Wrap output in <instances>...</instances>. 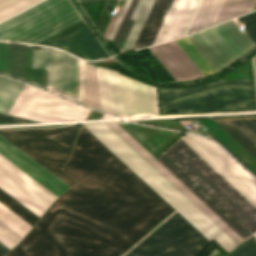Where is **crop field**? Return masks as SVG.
I'll list each match as a JSON object with an SVG mask.
<instances>
[{
    "label": "crop field",
    "mask_w": 256,
    "mask_h": 256,
    "mask_svg": "<svg viewBox=\"0 0 256 256\" xmlns=\"http://www.w3.org/2000/svg\"><path fill=\"white\" fill-rule=\"evenodd\" d=\"M157 159L244 240L256 231V207L181 139Z\"/></svg>",
    "instance_id": "ac0d7876"
},
{
    "label": "crop field",
    "mask_w": 256,
    "mask_h": 256,
    "mask_svg": "<svg viewBox=\"0 0 256 256\" xmlns=\"http://www.w3.org/2000/svg\"><path fill=\"white\" fill-rule=\"evenodd\" d=\"M84 126L210 242L214 240L227 254L236 247L237 244L234 241L105 124Z\"/></svg>",
    "instance_id": "f4fd0767"
},
{
    "label": "crop field",
    "mask_w": 256,
    "mask_h": 256,
    "mask_svg": "<svg viewBox=\"0 0 256 256\" xmlns=\"http://www.w3.org/2000/svg\"><path fill=\"white\" fill-rule=\"evenodd\" d=\"M200 0H125L120 15L112 17L107 31L104 35L108 38L113 25L114 28L109 36V40L114 41L120 48L121 52L145 47L155 43L167 41L170 39L184 36L193 13ZM154 43V44H155Z\"/></svg>",
    "instance_id": "34b2d1b8"
},
{
    "label": "crop field",
    "mask_w": 256,
    "mask_h": 256,
    "mask_svg": "<svg viewBox=\"0 0 256 256\" xmlns=\"http://www.w3.org/2000/svg\"><path fill=\"white\" fill-rule=\"evenodd\" d=\"M79 1H86V0H79Z\"/></svg>",
    "instance_id": "0bd39190"
},
{
    "label": "crop field",
    "mask_w": 256,
    "mask_h": 256,
    "mask_svg": "<svg viewBox=\"0 0 256 256\" xmlns=\"http://www.w3.org/2000/svg\"><path fill=\"white\" fill-rule=\"evenodd\" d=\"M81 103L101 111L97 78H96V70L94 66H91L88 64L86 67L84 91H83Z\"/></svg>",
    "instance_id": "00972430"
},
{
    "label": "crop field",
    "mask_w": 256,
    "mask_h": 256,
    "mask_svg": "<svg viewBox=\"0 0 256 256\" xmlns=\"http://www.w3.org/2000/svg\"><path fill=\"white\" fill-rule=\"evenodd\" d=\"M252 244H254L256 246V239L254 238V236H252L251 238L248 239Z\"/></svg>",
    "instance_id": "e1f06a70"
},
{
    "label": "crop field",
    "mask_w": 256,
    "mask_h": 256,
    "mask_svg": "<svg viewBox=\"0 0 256 256\" xmlns=\"http://www.w3.org/2000/svg\"><path fill=\"white\" fill-rule=\"evenodd\" d=\"M0 202L32 226L39 218L1 189H0Z\"/></svg>",
    "instance_id": "4177f3b9"
},
{
    "label": "crop field",
    "mask_w": 256,
    "mask_h": 256,
    "mask_svg": "<svg viewBox=\"0 0 256 256\" xmlns=\"http://www.w3.org/2000/svg\"><path fill=\"white\" fill-rule=\"evenodd\" d=\"M230 256H256V250L246 242Z\"/></svg>",
    "instance_id": "1d83c4d3"
},
{
    "label": "crop field",
    "mask_w": 256,
    "mask_h": 256,
    "mask_svg": "<svg viewBox=\"0 0 256 256\" xmlns=\"http://www.w3.org/2000/svg\"><path fill=\"white\" fill-rule=\"evenodd\" d=\"M176 42L200 69L204 76L215 73L213 68L208 64V62L203 58V56L198 52V50L193 46L187 37L176 40Z\"/></svg>",
    "instance_id": "a9b5d70f"
},
{
    "label": "crop field",
    "mask_w": 256,
    "mask_h": 256,
    "mask_svg": "<svg viewBox=\"0 0 256 256\" xmlns=\"http://www.w3.org/2000/svg\"><path fill=\"white\" fill-rule=\"evenodd\" d=\"M79 130L74 126H67L0 130V134L71 187L77 181L60 168L68 160Z\"/></svg>",
    "instance_id": "d8731c3e"
},
{
    "label": "crop field",
    "mask_w": 256,
    "mask_h": 256,
    "mask_svg": "<svg viewBox=\"0 0 256 256\" xmlns=\"http://www.w3.org/2000/svg\"><path fill=\"white\" fill-rule=\"evenodd\" d=\"M85 67L80 60V99ZM0 74L79 100V59L54 48L0 42Z\"/></svg>",
    "instance_id": "412701ff"
},
{
    "label": "crop field",
    "mask_w": 256,
    "mask_h": 256,
    "mask_svg": "<svg viewBox=\"0 0 256 256\" xmlns=\"http://www.w3.org/2000/svg\"><path fill=\"white\" fill-rule=\"evenodd\" d=\"M120 78L125 117L159 115L155 86L121 74Z\"/></svg>",
    "instance_id": "d9b57169"
},
{
    "label": "crop field",
    "mask_w": 256,
    "mask_h": 256,
    "mask_svg": "<svg viewBox=\"0 0 256 256\" xmlns=\"http://www.w3.org/2000/svg\"><path fill=\"white\" fill-rule=\"evenodd\" d=\"M21 122H33V121L0 114V123H21Z\"/></svg>",
    "instance_id": "120bbe31"
},
{
    "label": "crop field",
    "mask_w": 256,
    "mask_h": 256,
    "mask_svg": "<svg viewBox=\"0 0 256 256\" xmlns=\"http://www.w3.org/2000/svg\"><path fill=\"white\" fill-rule=\"evenodd\" d=\"M0 211L3 212L5 215H7L9 218H11L13 221H15L17 224H19L21 227H23L25 230H29L32 226H30L28 223H26L24 220H22L20 217H18L16 214H14L12 211H10L8 208H6L4 205L0 203Z\"/></svg>",
    "instance_id": "bd1437ed"
},
{
    "label": "crop field",
    "mask_w": 256,
    "mask_h": 256,
    "mask_svg": "<svg viewBox=\"0 0 256 256\" xmlns=\"http://www.w3.org/2000/svg\"><path fill=\"white\" fill-rule=\"evenodd\" d=\"M226 2L227 0H202L187 35L216 24Z\"/></svg>",
    "instance_id": "92a150f3"
},
{
    "label": "crop field",
    "mask_w": 256,
    "mask_h": 256,
    "mask_svg": "<svg viewBox=\"0 0 256 256\" xmlns=\"http://www.w3.org/2000/svg\"><path fill=\"white\" fill-rule=\"evenodd\" d=\"M188 38L216 72L256 46L232 20L188 36Z\"/></svg>",
    "instance_id": "28ad6ade"
},
{
    "label": "crop field",
    "mask_w": 256,
    "mask_h": 256,
    "mask_svg": "<svg viewBox=\"0 0 256 256\" xmlns=\"http://www.w3.org/2000/svg\"><path fill=\"white\" fill-rule=\"evenodd\" d=\"M124 129L154 157L173 142L180 133L133 124Z\"/></svg>",
    "instance_id": "bc2a9ffb"
},
{
    "label": "crop field",
    "mask_w": 256,
    "mask_h": 256,
    "mask_svg": "<svg viewBox=\"0 0 256 256\" xmlns=\"http://www.w3.org/2000/svg\"><path fill=\"white\" fill-rule=\"evenodd\" d=\"M209 243L210 242L206 238H204L195 228H193L183 217H181L176 212L134 249L132 248L135 245L131 247L128 251L131 249L132 250L127 255L125 254L128 251L125 252L122 256H197ZM219 251L220 250L216 248L208 256H214Z\"/></svg>",
    "instance_id": "3316defc"
},
{
    "label": "crop field",
    "mask_w": 256,
    "mask_h": 256,
    "mask_svg": "<svg viewBox=\"0 0 256 256\" xmlns=\"http://www.w3.org/2000/svg\"><path fill=\"white\" fill-rule=\"evenodd\" d=\"M240 21L247 29V34L256 44V11L239 17Z\"/></svg>",
    "instance_id": "750c4746"
},
{
    "label": "crop field",
    "mask_w": 256,
    "mask_h": 256,
    "mask_svg": "<svg viewBox=\"0 0 256 256\" xmlns=\"http://www.w3.org/2000/svg\"><path fill=\"white\" fill-rule=\"evenodd\" d=\"M256 147V119L227 121Z\"/></svg>",
    "instance_id": "d3111659"
},
{
    "label": "crop field",
    "mask_w": 256,
    "mask_h": 256,
    "mask_svg": "<svg viewBox=\"0 0 256 256\" xmlns=\"http://www.w3.org/2000/svg\"><path fill=\"white\" fill-rule=\"evenodd\" d=\"M50 46L64 49L86 60H97L109 57L87 26Z\"/></svg>",
    "instance_id": "4a817a6b"
},
{
    "label": "crop field",
    "mask_w": 256,
    "mask_h": 256,
    "mask_svg": "<svg viewBox=\"0 0 256 256\" xmlns=\"http://www.w3.org/2000/svg\"><path fill=\"white\" fill-rule=\"evenodd\" d=\"M162 112L182 115L255 111L251 80L210 82L188 88H160Z\"/></svg>",
    "instance_id": "dd49c442"
},
{
    "label": "crop field",
    "mask_w": 256,
    "mask_h": 256,
    "mask_svg": "<svg viewBox=\"0 0 256 256\" xmlns=\"http://www.w3.org/2000/svg\"><path fill=\"white\" fill-rule=\"evenodd\" d=\"M41 0H0V21L34 5Z\"/></svg>",
    "instance_id": "eef30255"
},
{
    "label": "crop field",
    "mask_w": 256,
    "mask_h": 256,
    "mask_svg": "<svg viewBox=\"0 0 256 256\" xmlns=\"http://www.w3.org/2000/svg\"><path fill=\"white\" fill-rule=\"evenodd\" d=\"M218 143H220L227 151H229L238 161H240L246 168H248L233 152H231L218 138L215 139ZM255 176L256 174L248 168Z\"/></svg>",
    "instance_id": "028f5c9d"
},
{
    "label": "crop field",
    "mask_w": 256,
    "mask_h": 256,
    "mask_svg": "<svg viewBox=\"0 0 256 256\" xmlns=\"http://www.w3.org/2000/svg\"><path fill=\"white\" fill-rule=\"evenodd\" d=\"M80 21L69 0H45L0 23V40L36 44Z\"/></svg>",
    "instance_id": "e52e79f7"
},
{
    "label": "crop field",
    "mask_w": 256,
    "mask_h": 256,
    "mask_svg": "<svg viewBox=\"0 0 256 256\" xmlns=\"http://www.w3.org/2000/svg\"><path fill=\"white\" fill-rule=\"evenodd\" d=\"M150 48L176 81L203 77L175 41Z\"/></svg>",
    "instance_id": "733c2abd"
},
{
    "label": "crop field",
    "mask_w": 256,
    "mask_h": 256,
    "mask_svg": "<svg viewBox=\"0 0 256 256\" xmlns=\"http://www.w3.org/2000/svg\"><path fill=\"white\" fill-rule=\"evenodd\" d=\"M14 102L9 100L0 99V112L9 114Z\"/></svg>",
    "instance_id": "d32e631a"
},
{
    "label": "crop field",
    "mask_w": 256,
    "mask_h": 256,
    "mask_svg": "<svg viewBox=\"0 0 256 256\" xmlns=\"http://www.w3.org/2000/svg\"><path fill=\"white\" fill-rule=\"evenodd\" d=\"M256 0H228L219 22L250 12ZM218 22V23H219Z\"/></svg>",
    "instance_id": "730fd06b"
},
{
    "label": "crop field",
    "mask_w": 256,
    "mask_h": 256,
    "mask_svg": "<svg viewBox=\"0 0 256 256\" xmlns=\"http://www.w3.org/2000/svg\"><path fill=\"white\" fill-rule=\"evenodd\" d=\"M0 155L57 197L70 188L1 135Z\"/></svg>",
    "instance_id": "5142ce71"
},
{
    "label": "crop field",
    "mask_w": 256,
    "mask_h": 256,
    "mask_svg": "<svg viewBox=\"0 0 256 256\" xmlns=\"http://www.w3.org/2000/svg\"><path fill=\"white\" fill-rule=\"evenodd\" d=\"M106 125L111 128L120 138H122L131 148H133L142 158H144L153 168H155L164 178H166L176 189H178L187 199H189L198 209H200L238 245L244 241L238 234H236L237 232L235 230L234 231L236 233L117 123H110Z\"/></svg>",
    "instance_id": "cbeb9de0"
},
{
    "label": "crop field",
    "mask_w": 256,
    "mask_h": 256,
    "mask_svg": "<svg viewBox=\"0 0 256 256\" xmlns=\"http://www.w3.org/2000/svg\"><path fill=\"white\" fill-rule=\"evenodd\" d=\"M181 139L256 206V181L216 143L190 134Z\"/></svg>",
    "instance_id": "d1516ede"
},
{
    "label": "crop field",
    "mask_w": 256,
    "mask_h": 256,
    "mask_svg": "<svg viewBox=\"0 0 256 256\" xmlns=\"http://www.w3.org/2000/svg\"><path fill=\"white\" fill-rule=\"evenodd\" d=\"M23 228L0 212V242L12 249L26 234ZM0 243V256L5 255L10 249Z\"/></svg>",
    "instance_id": "dafd665d"
},
{
    "label": "crop field",
    "mask_w": 256,
    "mask_h": 256,
    "mask_svg": "<svg viewBox=\"0 0 256 256\" xmlns=\"http://www.w3.org/2000/svg\"><path fill=\"white\" fill-rule=\"evenodd\" d=\"M87 131L63 167L79 182L6 256H118L173 210Z\"/></svg>",
    "instance_id": "8a807250"
},
{
    "label": "crop field",
    "mask_w": 256,
    "mask_h": 256,
    "mask_svg": "<svg viewBox=\"0 0 256 256\" xmlns=\"http://www.w3.org/2000/svg\"><path fill=\"white\" fill-rule=\"evenodd\" d=\"M24 84L0 77V98L16 101ZM89 109L25 85L10 115L43 123L84 120Z\"/></svg>",
    "instance_id": "5a996713"
},
{
    "label": "crop field",
    "mask_w": 256,
    "mask_h": 256,
    "mask_svg": "<svg viewBox=\"0 0 256 256\" xmlns=\"http://www.w3.org/2000/svg\"><path fill=\"white\" fill-rule=\"evenodd\" d=\"M251 62H252V70H253L254 85H255V92H256V55L251 58Z\"/></svg>",
    "instance_id": "5866460e"
},
{
    "label": "crop field",
    "mask_w": 256,
    "mask_h": 256,
    "mask_svg": "<svg viewBox=\"0 0 256 256\" xmlns=\"http://www.w3.org/2000/svg\"><path fill=\"white\" fill-rule=\"evenodd\" d=\"M102 107L123 113L118 72L97 67ZM124 114V113H123Z\"/></svg>",
    "instance_id": "214f88e0"
},
{
    "label": "crop field",
    "mask_w": 256,
    "mask_h": 256,
    "mask_svg": "<svg viewBox=\"0 0 256 256\" xmlns=\"http://www.w3.org/2000/svg\"><path fill=\"white\" fill-rule=\"evenodd\" d=\"M0 188L39 217L57 198L1 156Z\"/></svg>",
    "instance_id": "22f410ed"
},
{
    "label": "crop field",
    "mask_w": 256,
    "mask_h": 256,
    "mask_svg": "<svg viewBox=\"0 0 256 256\" xmlns=\"http://www.w3.org/2000/svg\"><path fill=\"white\" fill-rule=\"evenodd\" d=\"M226 133H228L237 143H239L248 153L256 159V148H254L244 137H242L232 126H230L223 118L212 119Z\"/></svg>",
    "instance_id": "ae1a2a85"
}]
</instances>
